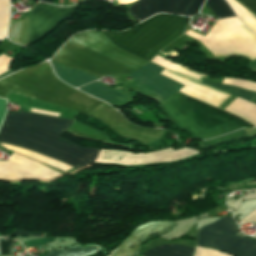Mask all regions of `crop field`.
Wrapping results in <instances>:
<instances>
[{
    "mask_svg": "<svg viewBox=\"0 0 256 256\" xmlns=\"http://www.w3.org/2000/svg\"><path fill=\"white\" fill-rule=\"evenodd\" d=\"M9 91L87 114L102 121L118 135L136 139L145 145L157 140L164 132L133 126L107 104L58 80L48 62L1 79L0 97L6 98Z\"/></svg>",
    "mask_w": 256,
    "mask_h": 256,
    "instance_id": "1",
    "label": "crop field"
},
{
    "mask_svg": "<svg viewBox=\"0 0 256 256\" xmlns=\"http://www.w3.org/2000/svg\"><path fill=\"white\" fill-rule=\"evenodd\" d=\"M3 122L27 125L50 131L60 136L67 131L69 125L72 123L71 120L17 112H8ZM46 131L3 123L0 131V141L41 152L66 164L72 165L76 169L88 166L94 162L99 152L98 149L80 148L78 145ZM2 146L34 160L52 165L63 171L71 169L62 163L33 152L4 144H2Z\"/></svg>",
    "mask_w": 256,
    "mask_h": 256,
    "instance_id": "2",
    "label": "crop field"
},
{
    "mask_svg": "<svg viewBox=\"0 0 256 256\" xmlns=\"http://www.w3.org/2000/svg\"><path fill=\"white\" fill-rule=\"evenodd\" d=\"M52 60L96 77L128 74L147 62L117 48L99 31L74 35Z\"/></svg>",
    "mask_w": 256,
    "mask_h": 256,
    "instance_id": "3",
    "label": "crop field"
},
{
    "mask_svg": "<svg viewBox=\"0 0 256 256\" xmlns=\"http://www.w3.org/2000/svg\"><path fill=\"white\" fill-rule=\"evenodd\" d=\"M187 20L179 16L155 15L130 31L103 34L117 47L149 61L181 36Z\"/></svg>",
    "mask_w": 256,
    "mask_h": 256,
    "instance_id": "4",
    "label": "crop field"
},
{
    "mask_svg": "<svg viewBox=\"0 0 256 256\" xmlns=\"http://www.w3.org/2000/svg\"><path fill=\"white\" fill-rule=\"evenodd\" d=\"M158 107L169 120L191 134L195 140L215 137L242 128L221 117L204 113L179 92Z\"/></svg>",
    "mask_w": 256,
    "mask_h": 256,
    "instance_id": "5",
    "label": "crop field"
},
{
    "mask_svg": "<svg viewBox=\"0 0 256 256\" xmlns=\"http://www.w3.org/2000/svg\"><path fill=\"white\" fill-rule=\"evenodd\" d=\"M185 34L200 40L214 56L240 54L256 59V37L237 18L216 22L205 37L190 30Z\"/></svg>",
    "mask_w": 256,
    "mask_h": 256,
    "instance_id": "6",
    "label": "crop field"
},
{
    "mask_svg": "<svg viewBox=\"0 0 256 256\" xmlns=\"http://www.w3.org/2000/svg\"><path fill=\"white\" fill-rule=\"evenodd\" d=\"M237 232L238 227L231 217L219 218L198 230L196 245L219 249L236 256H256V241L237 237Z\"/></svg>",
    "mask_w": 256,
    "mask_h": 256,
    "instance_id": "7",
    "label": "crop field"
},
{
    "mask_svg": "<svg viewBox=\"0 0 256 256\" xmlns=\"http://www.w3.org/2000/svg\"><path fill=\"white\" fill-rule=\"evenodd\" d=\"M76 5L68 8L39 3L30 11L26 44L33 43L54 30L58 23L72 17Z\"/></svg>",
    "mask_w": 256,
    "mask_h": 256,
    "instance_id": "8",
    "label": "crop field"
},
{
    "mask_svg": "<svg viewBox=\"0 0 256 256\" xmlns=\"http://www.w3.org/2000/svg\"><path fill=\"white\" fill-rule=\"evenodd\" d=\"M162 70L163 68L149 63L140 70L130 74L136 79L131 84L162 103L183 86L159 74Z\"/></svg>",
    "mask_w": 256,
    "mask_h": 256,
    "instance_id": "9",
    "label": "crop field"
},
{
    "mask_svg": "<svg viewBox=\"0 0 256 256\" xmlns=\"http://www.w3.org/2000/svg\"><path fill=\"white\" fill-rule=\"evenodd\" d=\"M196 153L198 152L184 147L177 149L175 151L172 148H169L167 150L158 151L151 154H129L101 150L95 162L119 163L123 165H138L153 162H166L178 160L187 156L194 155Z\"/></svg>",
    "mask_w": 256,
    "mask_h": 256,
    "instance_id": "10",
    "label": "crop field"
},
{
    "mask_svg": "<svg viewBox=\"0 0 256 256\" xmlns=\"http://www.w3.org/2000/svg\"><path fill=\"white\" fill-rule=\"evenodd\" d=\"M204 0H140L129 9L136 20L141 21L158 12L183 15L196 14Z\"/></svg>",
    "mask_w": 256,
    "mask_h": 256,
    "instance_id": "11",
    "label": "crop field"
},
{
    "mask_svg": "<svg viewBox=\"0 0 256 256\" xmlns=\"http://www.w3.org/2000/svg\"><path fill=\"white\" fill-rule=\"evenodd\" d=\"M58 174L37 162L14 153L8 162L0 161V177L6 179L24 177L51 178Z\"/></svg>",
    "mask_w": 256,
    "mask_h": 256,
    "instance_id": "12",
    "label": "crop field"
},
{
    "mask_svg": "<svg viewBox=\"0 0 256 256\" xmlns=\"http://www.w3.org/2000/svg\"><path fill=\"white\" fill-rule=\"evenodd\" d=\"M173 224L170 221H154L138 226L113 256H138L140 242L164 231H168Z\"/></svg>",
    "mask_w": 256,
    "mask_h": 256,
    "instance_id": "13",
    "label": "crop field"
},
{
    "mask_svg": "<svg viewBox=\"0 0 256 256\" xmlns=\"http://www.w3.org/2000/svg\"><path fill=\"white\" fill-rule=\"evenodd\" d=\"M161 74L185 85L179 91L216 107H218L229 97L227 94L203 86L195 81L179 76L166 69H164Z\"/></svg>",
    "mask_w": 256,
    "mask_h": 256,
    "instance_id": "14",
    "label": "crop field"
},
{
    "mask_svg": "<svg viewBox=\"0 0 256 256\" xmlns=\"http://www.w3.org/2000/svg\"><path fill=\"white\" fill-rule=\"evenodd\" d=\"M80 90H82L94 97H97L101 100L115 103V104H122V103H125L130 100L127 97H125L124 95H122L118 92H115L110 88L99 85L97 83L88 85Z\"/></svg>",
    "mask_w": 256,
    "mask_h": 256,
    "instance_id": "15",
    "label": "crop field"
},
{
    "mask_svg": "<svg viewBox=\"0 0 256 256\" xmlns=\"http://www.w3.org/2000/svg\"><path fill=\"white\" fill-rule=\"evenodd\" d=\"M51 64H52L55 74L62 81L66 82L74 87H79L81 85H84L86 83L96 80L95 78H93L83 72L69 70V69L60 67L52 62H51Z\"/></svg>",
    "mask_w": 256,
    "mask_h": 256,
    "instance_id": "16",
    "label": "crop field"
},
{
    "mask_svg": "<svg viewBox=\"0 0 256 256\" xmlns=\"http://www.w3.org/2000/svg\"><path fill=\"white\" fill-rule=\"evenodd\" d=\"M194 248L167 244L157 246L141 256H192Z\"/></svg>",
    "mask_w": 256,
    "mask_h": 256,
    "instance_id": "17",
    "label": "crop field"
},
{
    "mask_svg": "<svg viewBox=\"0 0 256 256\" xmlns=\"http://www.w3.org/2000/svg\"><path fill=\"white\" fill-rule=\"evenodd\" d=\"M225 110L246 119L256 126V105L237 98Z\"/></svg>",
    "mask_w": 256,
    "mask_h": 256,
    "instance_id": "18",
    "label": "crop field"
},
{
    "mask_svg": "<svg viewBox=\"0 0 256 256\" xmlns=\"http://www.w3.org/2000/svg\"><path fill=\"white\" fill-rule=\"evenodd\" d=\"M151 62L153 63H156L160 66H163L177 74H180V75H183L185 77H188V78H191V79H194L196 81H199L201 82V80L204 78V75H201V74H198V73H195L187 68H184L180 65H177L175 63H172L168 60H165L163 58H160L158 56L154 57Z\"/></svg>",
    "mask_w": 256,
    "mask_h": 256,
    "instance_id": "19",
    "label": "crop field"
},
{
    "mask_svg": "<svg viewBox=\"0 0 256 256\" xmlns=\"http://www.w3.org/2000/svg\"><path fill=\"white\" fill-rule=\"evenodd\" d=\"M242 22L256 35V17L235 0H226ZM240 20V21H241Z\"/></svg>",
    "mask_w": 256,
    "mask_h": 256,
    "instance_id": "20",
    "label": "crop field"
},
{
    "mask_svg": "<svg viewBox=\"0 0 256 256\" xmlns=\"http://www.w3.org/2000/svg\"><path fill=\"white\" fill-rule=\"evenodd\" d=\"M98 249L99 246L82 248L77 245L67 250L49 251L46 256H88L90 254L97 253Z\"/></svg>",
    "mask_w": 256,
    "mask_h": 256,
    "instance_id": "21",
    "label": "crop field"
},
{
    "mask_svg": "<svg viewBox=\"0 0 256 256\" xmlns=\"http://www.w3.org/2000/svg\"><path fill=\"white\" fill-rule=\"evenodd\" d=\"M203 84L211 86L213 88L225 91L227 93H230L232 95H235L237 97L243 98L245 100H248L250 102H253L256 104V94L255 93H251V92H247L238 88H234V87H230V86H226V85H220V84H214V83H210V82H206L203 81Z\"/></svg>",
    "mask_w": 256,
    "mask_h": 256,
    "instance_id": "22",
    "label": "crop field"
},
{
    "mask_svg": "<svg viewBox=\"0 0 256 256\" xmlns=\"http://www.w3.org/2000/svg\"><path fill=\"white\" fill-rule=\"evenodd\" d=\"M218 19L236 16L224 0H207L205 3Z\"/></svg>",
    "mask_w": 256,
    "mask_h": 256,
    "instance_id": "23",
    "label": "crop field"
},
{
    "mask_svg": "<svg viewBox=\"0 0 256 256\" xmlns=\"http://www.w3.org/2000/svg\"><path fill=\"white\" fill-rule=\"evenodd\" d=\"M74 130L76 131H79V132H82V133H85V134H89V135H94V136H99V137H103V138H106L104 135H102L100 132L90 128V127H87L85 125H82L78 122H74L72 127ZM69 129V131L79 135V136H82V137H86V138H90V139H94V140H98V141H102L104 142L105 139L103 138H99V137H94V136H89V135H85V134H82V133H78L76 131H74L73 129Z\"/></svg>",
    "mask_w": 256,
    "mask_h": 256,
    "instance_id": "24",
    "label": "crop field"
},
{
    "mask_svg": "<svg viewBox=\"0 0 256 256\" xmlns=\"http://www.w3.org/2000/svg\"><path fill=\"white\" fill-rule=\"evenodd\" d=\"M244 135H246V133H245L244 129H242V130L236 131V132L231 133V134L223 135V136H220L218 138L211 139V140H208V141H202V142H203L204 146L214 145V144H219V143H222L224 141L231 140V139H234V138H238V137H241V136H244Z\"/></svg>",
    "mask_w": 256,
    "mask_h": 256,
    "instance_id": "25",
    "label": "crop field"
},
{
    "mask_svg": "<svg viewBox=\"0 0 256 256\" xmlns=\"http://www.w3.org/2000/svg\"><path fill=\"white\" fill-rule=\"evenodd\" d=\"M222 83L227 85H235L248 90L256 91V83H249L242 80L223 79Z\"/></svg>",
    "mask_w": 256,
    "mask_h": 256,
    "instance_id": "26",
    "label": "crop field"
},
{
    "mask_svg": "<svg viewBox=\"0 0 256 256\" xmlns=\"http://www.w3.org/2000/svg\"><path fill=\"white\" fill-rule=\"evenodd\" d=\"M14 243H16V241L7 239V238H1L0 239V251L1 254H9L12 253L11 249L9 248L10 246H12Z\"/></svg>",
    "mask_w": 256,
    "mask_h": 256,
    "instance_id": "27",
    "label": "crop field"
},
{
    "mask_svg": "<svg viewBox=\"0 0 256 256\" xmlns=\"http://www.w3.org/2000/svg\"><path fill=\"white\" fill-rule=\"evenodd\" d=\"M54 241H55V238H44V239H35V240L25 241L24 244L26 245V247H30V246L42 245V244H46Z\"/></svg>",
    "mask_w": 256,
    "mask_h": 256,
    "instance_id": "28",
    "label": "crop field"
},
{
    "mask_svg": "<svg viewBox=\"0 0 256 256\" xmlns=\"http://www.w3.org/2000/svg\"><path fill=\"white\" fill-rule=\"evenodd\" d=\"M184 43H186V40L182 38V36L180 38H178L176 41H174L172 44H170L168 47H166L164 50H162L161 52L165 53L171 49H177L179 48L181 45H183Z\"/></svg>",
    "mask_w": 256,
    "mask_h": 256,
    "instance_id": "29",
    "label": "crop field"
},
{
    "mask_svg": "<svg viewBox=\"0 0 256 256\" xmlns=\"http://www.w3.org/2000/svg\"><path fill=\"white\" fill-rule=\"evenodd\" d=\"M242 5H244L251 12L256 14V0H238Z\"/></svg>",
    "mask_w": 256,
    "mask_h": 256,
    "instance_id": "30",
    "label": "crop field"
},
{
    "mask_svg": "<svg viewBox=\"0 0 256 256\" xmlns=\"http://www.w3.org/2000/svg\"><path fill=\"white\" fill-rule=\"evenodd\" d=\"M246 223H256V211L252 212L250 215H248L245 219H243L240 222V224Z\"/></svg>",
    "mask_w": 256,
    "mask_h": 256,
    "instance_id": "31",
    "label": "crop field"
},
{
    "mask_svg": "<svg viewBox=\"0 0 256 256\" xmlns=\"http://www.w3.org/2000/svg\"><path fill=\"white\" fill-rule=\"evenodd\" d=\"M6 113V105L5 100L0 99V124L2 122V119Z\"/></svg>",
    "mask_w": 256,
    "mask_h": 256,
    "instance_id": "32",
    "label": "crop field"
},
{
    "mask_svg": "<svg viewBox=\"0 0 256 256\" xmlns=\"http://www.w3.org/2000/svg\"><path fill=\"white\" fill-rule=\"evenodd\" d=\"M29 234L30 233H28V232L14 229L9 235H27V236H29ZM9 235H7V236H9Z\"/></svg>",
    "mask_w": 256,
    "mask_h": 256,
    "instance_id": "33",
    "label": "crop field"
},
{
    "mask_svg": "<svg viewBox=\"0 0 256 256\" xmlns=\"http://www.w3.org/2000/svg\"><path fill=\"white\" fill-rule=\"evenodd\" d=\"M135 0H118V5L132 3Z\"/></svg>",
    "mask_w": 256,
    "mask_h": 256,
    "instance_id": "34",
    "label": "crop field"
},
{
    "mask_svg": "<svg viewBox=\"0 0 256 256\" xmlns=\"http://www.w3.org/2000/svg\"><path fill=\"white\" fill-rule=\"evenodd\" d=\"M249 69H250L251 71L256 72V62H255V63H250V64H249Z\"/></svg>",
    "mask_w": 256,
    "mask_h": 256,
    "instance_id": "35",
    "label": "crop field"
},
{
    "mask_svg": "<svg viewBox=\"0 0 256 256\" xmlns=\"http://www.w3.org/2000/svg\"><path fill=\"white\" fill-rule=\"evenodd\" d=\"M43 234V233H42ZM41 233H32L31 236H40ZM42 236V235H41Z\"/></svg>",
    "mask_w": 256,
    "mask_h": 256,
    "instance_id": "36",
    "label": "crop field"
},
{
    "mask_svg": "<svg viewBox=\"0 0 256 256\" xmlns=\"http://www.w3.org/2000/svg\"><path fill=\"white\" fill-rule=\"evenodd\" d=\"M39 1H43V2H46V3H50V4H51V1H52V0H39Z\"/></svg>",
    "mask_w": 256,
    "mask_h": 256,
    "instance_id": "37",
    "label": "crop field"
}]
</instances>
